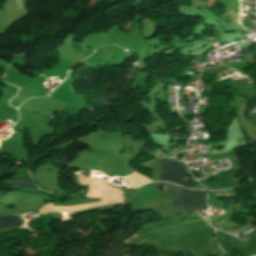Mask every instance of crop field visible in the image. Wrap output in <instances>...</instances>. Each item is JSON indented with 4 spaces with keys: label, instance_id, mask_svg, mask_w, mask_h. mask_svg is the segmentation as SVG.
<instances>
[{
    "label": "crop field",
    "instance_id": "crop-field-1",
    "mask_svg": "<svg viewBox=\"0 0 256 256\" xmlns=\"http://www.w3.org/2000/svg\"><path fill=\"white\" fill-rule=\"evenodd\" d=\"M171 201L182 215L192 213L197 209L207 210L205 203L206 192L168 185Z\"/></svg>",
    "mask_w": 256,
    "mask_h": 256
},
{
    "label": "crop field",
    "instance_id": "crop-field-2",
    "mask_svg": "<svg viewBox=\"0 0 256 256\" xmlns=\"http://www.w3.org/2000/svg\"><path fill=\"white\" fill-rule=\"evenodd\" d=\"M163 169V174L160 180L172 181L182 185L185 177L186 167L182 164L171 161H160Z\"/></svg>",
    "mask_w": 256,
    "mask_h": 256
},
{
    "label": "crop field",
    "instance_id": "crop-field-3",
    "mask_svg": "<svg viewBox=\"0 0 256 256\" xmlns=\"http://www.w3.org/2000/svg\"><path fill=\"white\" fill-rule=\"evenodd\" d=\"M16 216H0V228L13 227L21 225V220H15Z\"/></svg>",
    "mask_w": 256,
    "mask_h": 256
},
{
    "label": "crop field",
    "instance_id": "crop-field-4",
    "mask_svg": "<svg viewBox=\"0 0 256 256\" xmlns=\"http://www.w3.org/2000/svg\"><path fill=\"white\" fill-rule=\"evenodd\" d=\"M10 185L23 186L29 188H38L31 179L11 180L8 182Z\"/></svg>",
    "mask_w": 256,
    "mask_h": 256
}]
</instances>
